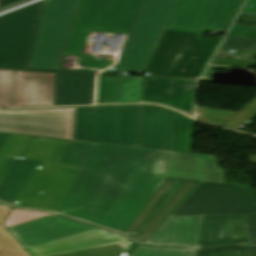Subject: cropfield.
<instances>
[{
	"mask_svg": "<svg viewBox=\"0 0 256 256\" xmlns=\"http://www.w3.org/2000/svg\"><path fill=\"white\" fill-rule=\"evenodd\" d=\"M58 163L83 166L60 213L122 233L165 180L156 150L68 141Z\"/></svg>",
	"mask_w": 256,
	"mask_h": 256,
	"instance_id": "1",
	"label": "crop field"
},
{
	"mask_svg": "<svg viewBox=\"0 0 256 256\" xmlns=\"http://www.w3.org/2000/svg\"><path fill=\"white\" fill-rule=\"evenodd\" d=\"M142 1L80 0L63 57L77 56L80 66L86 68L104 70L113 65L115 62L113 57L97 60L98 56L82 55L87 38L91 31L128 34ZM58 70L98 72L89 69H64L61 63Z\"/></svg>",
	"mask_w": 256,
	"mask_h": 256,
	"instance_id": "2",
	"label": "crop field"
},
{
	"mask_svg": "<svg viewBox=\"0 0 256 256\" xmlns=\"http://www.w3.org/2000/svg\"><path fill=\"white\" fill-rule=\"evenodd\" d=\"M66 142L34 137L22 159L44 162L15 206L59 212L81 169L78 166L57 164Z\"/></svg>",
	"mask_w": 256,
	"mask_h": 256,
	"instance_id": "3",
	"label": "crop field"
},
{
	"mask_svg": "<svg viewBox=\"0 0 256 256\" xmlns=\"http://www.w3.org/2000/svg\"><path fill=\"white\" fill-rule=\"evenodd\" d=\"M166 31L146 72L152 76L198 78L223 37Z\"/></svg>",
	"mask_w": 256,
	"mask_h": 256,
	"instance_id": "4",
	"label": "crop field"
},
{
	"mask_svg": "<svg viewBox=\"0 0 256 256\" xmlns=\"http://www.w3.org/2000/svg\"><path fill=\"white\" fill-rule=\"evenodd\" d=\"M179 0H144L116 72L144 74Z\"/></svg>",
	"mask_w": 256,
	"mask_h": 256,
	"instance_id": "5",
	"label": "crop field"
},
{
	"mask_svg": "<svg viewBox=\"0 0 256 256\" xmlns=\"http://www.w3.org/2000/svg\"><path fill=\"white\" fill-rule=\"evenodd\" d=\"M141 110L142 106L77 108L75 140L137 147Z\"/></svg>",
	"mask_w": 256,
	"mask_h": 256,
	"instance_id": "6",
	"label": "crop field"
},
{
	"mask_svg": "<svg viewBox=\"0 0 256 256\" xmlns=\"http://www.w3.org/2000/svg\"><path fill=\"white\" fill-rule=\"evenodd\" d=\"M211 214H245L249 243L256 242V197L252 188L202 182L171 216Z\"/></svg>",
	"mask_w": 256,
	"mask_h": 256,
	"instance_id": "7",
	"label": "crop field"
},
{
	"mask_svg": "<svg viewBox=\"0 0 256 256\" xmlns=\"http://www.w3.org/2000/svg\"><path fill=\"white\" fill-rule=\"evenodd\" d=\"M79 0H47L28 68L57 70Z\"/></svg>",
	"mask_w": 256,
	"mask_h": 256,
	"instance_id": "8",
	"label": "crop field"
},
{
	"mask_svg": "<svg viewBox=\"0 0 256 256\" xmlns=\"http://www.w3.org/2000/svg\"><path fill=\"white\" fill-rule=\"evenodd\" d=\"M45 1L0 17V68L27 69ZM49 71V70H36ZM96 75L89 72L50 71Z\"/></svg>",
	"mask_w": 256,
	"mask_h": 256,
	"instance_id": "9",
	"label": "crop field"
},
{
	"mask_svg": "<svg viewBox=\"0 0 256 256\" xmlns=\"http://www.w3.org/2000/svg\"><path fill=\"white\" fill-rule=\"evenodd\" d=\"M76 108L0 110V132L74 140Z\"/></svg>",
	"mask_w": 256,
	"mask_h": 256,
	"instance_id": "10",
	"label": "crop field"
},
{
	"mask_svg": "<svg viewBox=\"0 0 256 256\" xmlns=\"http://www.w3.org/2000/svg\"><path fill=\"white\" fill-rule=\"evenodd\" d=\"M245 0H180L166 30L199 34L228 31Z\"/></svg>",
	"mask_w": 256,
	"mask_h": 256,
	"instance_id": "11",
	"label": "crop field"
},
{
	"mask_svg": "<svg viewBox=\"0 0 256 256\" xmlns=\"http://www.w3.org/2000/svg\"><path fill=\"white\" fill-rule=\"evenodd\" d=\"M200 183L167 177L124 234L147 240Z\"/></svg>",
	"mask_w": 256,
	"mask_h": 256,
	"instance_id": "12",
	"label": "crop field"
},
{
	"mask_svg": "<svg viewBox=\"0 0 256 256\" xmlns=\"http://www.w3.org/2000/svg\"><path fill=\"white\" fill-rule=\"evenodd\" d=\"M161 175L224 183L216 156L160 150Z\"/></svg>",
	"mask_w": 256,
	"mask_h": 256,
	"instance_id": "13",
	"label": "crop field"
},
{
	"mask_svg": "<svg viewBox=\"0 0 256 256\" xmlns=\"http://www.w3.org/2000/svg\"><path fill=\"white\" fill-rule=\"evenodd\" d=\"M94 228L98 227L54 214L8 230L27 248Z\"/></svg>",
	"mask_w": 256,
	"mask_h": 256,
	"instance_id": "14",
	"label": "crop field"
},
{
	"mask_svg": "<svg viewBox=\"0 0 256 256\" xmlns=\"http://www.w3.org/2000/svg\"><path fill=\"white\" fill-rule=\"evenodd\" d=\"M178 114L143 105L138 147L173 151Z\"/></svg>",
	"mask_w": 256,
	"mask_h": 256,
	"instance_id": "15",
	"label": "crop field"
},
{
	"mask_svg": "<svg viewBox=\"0 0 256 256\" xmlns=\"http://www.w3.org/2000/svg\"><path fill=\"white\" fill-rule=\"evenodd\" d=\"M115 243L127 252L132 242L118 233L98 228L27 248V250L32 256H53Z\"/></svg>",
	"mask_w": 256,
	"mask_h": 256,
	"instance_id": "16",
	"label": "crop field"
},
{
	"mask_svg": "<svg viewBox=\"0 0 256 256\" xmlns=\"http://www.w3.org/2000/svg\"><path fill=\"white\" fill-rule=\"evenodd\" d=\"M195 81L145 78L143 102L159 103L191 114L194 109Z\"/></svg>",
	"mask_w": 256,
	"mask_h": 256,
	"instance_id": "17",
	"label": "crop field"
},
{
	"mask_svg": "<svg viewBox=\"0 0 256 256\" xmlns=\"http://www.w3.org/2000/svg\"><path fill=\"white\" fill-rule=\"evenodd\" d=\"M15 71L13 107L53 106L56 73Z\"/></svg>",
	"mask_w": 256,
	"mask_h": 256,
	"instance_id": "18",
	"label": "crop field"
},
{
	"mask_svg": "<svg viewBox=\"0 0 256 256\" xmlns=\"http://www.w3.org/2000/svg\"><path fill=\"white\" fill-rule=\"evenodd\" d=\"M248 243L244 215L204 216L198 247Z\"/></svg>",
	"mask_w": 256,
	"mask_h": 256,
	"instance_id": "19",
	"label": "crop field"
},
{
	"mask_svg": "<svg viewBox=\"0 0 256 256\" xmlns=\"http://www.w3.org/2000/svg\"><path fill=\"white\" fill-rule=\"evenodd\" d=\"M202 219L203 216L169 217L145 244L195 248L198 245Z\"/></svg>",
	"mask_w": 256,
	"mask_h": 256,
	"instance_id": "20",
	"label": "crop field"
},
{
	"mask_svg": "<svg viewBox=\"0 0 256 256\" xmlns=\"http://www.w3.org/2000/svg\"><path fill=\"white\" fill-rule=\"evenodd\" d=\"M95 77L57 73L54 106L93 104Z\"/></svg>",
	"mask_w": 256,
	"mask_h": 256,
	"instance_id": "21",
	"label": "crop field"
},
{
	"mask_svg": "<svg viewBox=\"0 0 256 256\" xmlns=\"http://www.w3.org/2000/svg\"><path fill=\"white\" fill-rule=\"evenodd\" d=\"M41 164L10 158L0 173V200L14 205Z\"/></svg>",
	"mask_w": 256,
	"mask_h": 256,
	"instance_id": "22",
	"label": "crop field"
},
{
	"mask_svg": "<svg viewBox=\"0 0 256 256\" xmlns=\"http://www.w3.org/2000/svg\"><path fill=\"white\" fill-rule=\"evenodd\" d=\"M230 50L240 51L229 53ZM252 54L256 55L255 38L227 37L212 64L250 67L256 65V56L253 60L249 59Z\"/></svg>",
	"mask_w": 256,
	"mask_h": 256,
	"instance_id": "23",
	"label": "crop field"
},
{
	"mask_svg": "<svg viewBox=\"0 0 256 256\" xmlns=\"http://www.w3.org/2000/svg\"><path fill=\"white\" fill-rule=\"evenodd\" d=\"M144 78L118 77L116 103L142 102Z\"/></svg>",
	"mask_w": 256,
	"mask_h": 256,
	"instance_id": "24",
	"label": "crop field"
},
{
	"mask_svg": "<svg viewBox=\"0 0 256 256\" xmlns=\"http://www.w3.org/2000/svg\"><path fill=\"white\" fill-rule=\"evenodd\" d=\"M10 208L0 206V256H29L28 253L2 226Z\"/></svg>",
	"mask_w": 256,
	"mask_h": 256,
	"instance_id": "25",
	"label": "crop field"
},
{
	"mask_svg": "<svg viewBox=\"0 0 256 256\" xmlns=\"http://www.w3.org/2000/svg\"><path fill=\"white\" fill-rule=\"evenodd\" d=\"M33 137L12 135L0 150V171L10 157L20 159Z\"/></svg>",
	"mask_w": 256,
	"mask_h": 256,
	"instance_id": "26",
	"label": "crop field"
},
{
	"mask_svg": "<svg viewBox=\"0 0 256 256\" xmlns=\"http://www.w3.org/2000/svg\"><path fill=\"white\" fill-rule=\"evenodd\" d=\"M194 121L179 114L174 151L191 153Z\"/></svg>",
	"mask_w": 256,
	"mask_h": 256,
	"instance_id": "27",
	"label": "crop field"
},
{
	"mask_svg": "<svg viewBox=\"0 0 256 256\" xmlns=\"http://www.w3.org/2000/svg\"><path fill=\"white\" fill-rule=\"evenodd\" d=\"M14 70L0 69V107H12Z\"/></svg>",
	"mask_w": 256,
	"mask_h": 256,
	"instance_id": "28",
	"label": "crop field"
},
{
	"mask_svg": "<svg viewBox=\"0 0 256 256\" xmlns=\"http://www.w3.org/2000/svg\"><path fill=\"white\" fill-rule=\"evenodd\" d=\"M196 251L179 248H151L141 246L133 256H195Z\"/></svg>",
	"mask_w": 256,
	"mask_h": 256,
	"instance_id": "29",
	"label": "crop field"
},
{
	"mask_svg": "<svg viewBox=\"0 0 256 256\" xmlns=\"http://www.w3.org/2000/svg\"><path fill=\"white\" fill-rule=\"evenodd\" d=\"M58 256H128V254L118 244H115Z\"/></svg>",
	"mask_w": 256,
	"mask_h": 256,
	"instance_id": "30",
	"label": "crop field"
},
{
	"mask_svg": "<svg viewBox=\"0 0 256 256\" xmlns=\"http://www.w3.org/2000/svg\"><path fill=\"white\" fill-rule=\"evenodd\" d=\"M196 256H249L248 245L209 248L197 251Z\"/></svg>",
	"mask_w": 256,
	"mask_h": 256,
	"instance_id": "31",
	"label": "crop field"
},
{
	"mask_svg": "<svg viewBox=\"0 0 256 256\" xmlns=\"http://www.w3.org/2000/svg\"><path fill=\"white\" fill-rule=\"evenodd\" d=\"M51 214L52 213L31 212L13 208L4 226L8 228Z\"/></svg>",
	"mask_w": 256,
	"mask_h": 256,
	"instance_id": "32",
	"label": "crop field"
},
{
	"mask_svg": "<svg viewBox=\"0 0 256 256\" xmlns=\"http://www.w3.org/2000/svg\"><path fill=\"white\" fill-rule=\"evenodd\" d=\"M256 116V99L248 104L236 116L228 121L224 127L240 129Z\"/></svg>",
	"mask_w": 256,
	"mask_h": 256,
	"instance_id": "33",
	"label": "crop field"
},
{
	"mask_svg": "<svg viewBox=\"0 0 256 256\" xmlns=\"http://www.w3.org/2000/svg\"><path fill=\"white\" fill-rule=\"evenodd\" d=\"M117 85L99 84L97 104L115 103Z\"/></svg>",
	"mask_w": 256,
	"mask_h": 256,
	"instance_id": "34",
	"label": "crop field"
},
{
	"mask_svg": "<svg viewBox=\"0 0 256 256\" xmlns=\"http://www.w3.org/2000/svg\"><path fill=\"white\" fill-rule=\"evenodd\" d=\"M228 36L256 37V27L233 26Z\"/></svg>",
	"mask_w": 256,
	"mask_h": 256,
	"instance_id": "35",
	"label": "crop field"
},
{
	"mask_svg": "<svg viewBox=\"0 0 256 256\" xmlns=\"http://www.w3.org/2000/svg\"><path fill=\"white\" fill-rule=\"evenodd\" d=\"M234 115H236V114L230 113V112H225V111H220V110H215V109H210V108H208V113H207V117L225 121V122L230 120Z\"/></svg>",
	"mask_w": 256,
	"mask_h": 256,
	"instance_id": "36",
	"label": "crop field"
},
{
	"mask_svg": "<svg viewBox=\"0 0 256 256\" xmlns=\"http://www.w3.org/2000/svg\"><path fill=\"white\" fill-rule=\"evenodd\" d=\"M234 25L256 26V15L239 14Z\"/></svg>",
	"mask_w": 256,
	"mask_h": 256,
	"instance_id": "37",
	"label": "crop field"
},
{
	"mask_svg": "<svg viewBox=\"0 0 256 256\" xmlns=\"http://www.w3.org/2000/svg\"><path fill=\"white\" fill-rule=\"evenodd\" d=\"M206 112H207V108L197 106L196 118L201 120V121L216 124V125H220V126L225 124L224 122H220V121H216V120L206 118Z\"/></svg>",
	"mask_w": 256,
	"mask_h": 256,
	"instance_id": "38",
	"label": "crop field"
},
{
	"mask_svg": "<svg viewBox=\"0 0 256 256\" xmlns=\"http://www.w3.org/2000/svg\"><path fill=\"white\" fill-rule=\"evenodd\" d=\"M249 5H253L249 7ZM241 13L256 14V0H248Z\"/></svg>",
	"mask_w": 256,
	"mask_h": 256,
	"instance_id": "39",
	"label": "crop field"
},
{
	"mask_svg": "<svg viewBox=\"0 0 256 256\" xmlns=\"http://www.w3.org/2000/svg\"><path fill=\"white\" fill-rule=\"evenodd\" d=\"M215 69H227L228 67H219V66H209L207 73L200 79V81L211 82L212 80L208 77V75Z\"/></svg>",
	"mask_w": 256,
	"mask_h": 256,
	"instance_id": "40",
	"label": "crop field"
},
{
	"mask_svg": "<svg viewBox=\"0 0 256 256\" xmlns=\"http://www.w3.org/2000/svg\"><path fill=\"white\" fill-rule=\"evenodd\" d=\"M100 83H114V84H117V77L100 76Z\"/></svg>",
	"mask_w": 256,
	"mask_h": 256,
	"instance_id": "41",
	"label": "crop field"
},
{
	"mask_svg": "<svg viewBox=\"0 0 256 256\" xmlns=\"http://www.w3.org/2000/svg\"><path fill=\"white\" fill-rule=\"evenodd\" d=\"M141 245H139V244H136V243H132V245H131V247H130V249L128 250V254L129 255H132V254H134L138 249H139V247H140Z\"/></svg>",
	"mask_w": 256,
	"mask_h": 256,
	"instance_id": "42",
	"label": "crop field"
},
{
	"mask_svg": "<svg viewBox=\"0 0 256 256\" xmlns=\"http://www.w3.org/2000/svg\"><path fill=\"white\" fill-rule=\"evenodd\" d=\"M11 135L0 134V149Z\"/></svg>",
	"mask_w": 256,
	"mask_h": 256,
	"instance_id": "43",
	"label": "crop field"
},
{
	"mask_svg": "<svg viewBox=\"0 0 256 256\" xmlns=\"http://www.w3.org/2000/svg\"><path fill=\"white\" fill-rule=\"evenodd\" d=\"M14 1H17V0H1L0 7H1V6H4V5H6V4L12 3V2H14Z\"/></svg>",
	"mask_w": 256,
	"mask_h": 256,
	"instance_id": "44",
	"label": "crop field"
},
{
	"mask_svg": "<svg viewBox=\"0 0 256 256\" xmlns=\"http://www.w3.org/2000/svg\"><path fill=\"white\" fill-rule=\"evenodd\" d=\"M250 247H251L252 256H256V244L255 245H250Z\"/></svg>",
	"mask_w": 256,
	"mask_h": 256,
	"instance_id": "45",
	"label": "crop field"
},
{
	"mask_svg": "<svg viewBox=\"0 0 256 256\" xmlns=\"http://www.w3.org/2000/svg\"><path fill=\"white\" fill-rule=\"evenodd\" d=\"M102 75H114L117 74L116 72H102Z\"/></svg>",
	"mask_w": 256,
	"mask_h": 256,
	"instance_id": "46",
	"label": "crop field"
},
{
	"mask_svg": "<svg viewBox=\"0 0 256 256\" xmlns=\"http://www.w3.org/2000/svg\"><path fill=\"white\" fill-rule=\"evenodd\" d=\"M0 205L12 207L11 205H8V204L2 203V202H0Z\"/></svg>",
	"mask_w": 256,
	"mask_h": 256,
	"instance_id": "47",
	"label": "crop field"
}]
</instances>
